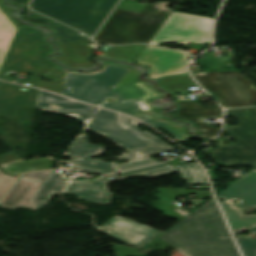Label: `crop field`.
<instances>
[{"instance_id": "1d83c4d3", "label": "crop field", "mask_w": 256, "mask_h": 256, "mask_svg": "<svg viewBox=\"0 0 256 256\" xmlns=\"http://www.w3.org/2000/svg\"><path fill=\"white\" fill-rule=\"evenodd\" d=\"M16 179L15 176H9L3 173L0 169V200L9 189L13 181Z\"/></svg>"}, {"instance_id": "bc2a9ffb", "label": "crop field", "mask_w": 256, "mask_h": 256, "mask_svg": "<svg viewBox=\"0 0 256 256\" xmlns=\"http://www.w3.org/2000/svg\"><path fill=\"white\" fill-rule=\"evenodd\" d=\"M20 87L0 81V115L15 118L18 106L35 108L39 90L28 87L20 91Z\"/></svg>"}, {"instance_id": "750c4746", "label": "crop field", "mask_w": 256, "mask_h": 256, "mask_svg": "<svg viewBox=\"0 0 256 256\" xmlns=\"http://www.w3.org/2000/svg\"><path fill=\"white\" fill-rule=\"evenodd\" d=\"M22 20L26 23H30V24H41V25H45V26H49L52 24H56V22L32 11L27 9Z\"/></svg>"}, {"instance_id": "3316defc", "label": "crop field", "mask_w": 256, "mask_h": 256, "mask_svg": "<svg viewBox=\"0 0 256 256\" xmlns=\"http://www.w3.org/2000/svg\"><path fill=\"white\" fill-rule=\"evenodd\" d=\"M211 18L173 12L150 44L210 43Z\"/></svg>"}, {"instance_id": "28ad6ade", "label": "crop field", "mask_w": 256, "mask_h": 256, "mask_svg": "<svg viewBox=\"0 0 256 256\" xmlns=\"http://www.w3.org/2000/svg\"><path fill=\"white\" fill-rule=\"evenodd\" d=\"M120 121L126 129L143 139L144 141L152 144L153 146L136 149L132 151L123 152L122 157H118L120 159L126 160L130 163L117 165L116 168L118 171L130 169L134 167H139L147 164L156 163L153 160L148 159L150 155L160 153L162 151H171L175 150L174 147L170 146L169 144L165 143L161 139L157 138L156 136L152 135L151 133L147 131H143L140 128L136 127L135 125L141 124V122H138L132 118H129L127 116H124L122 114L117 113Z\"/></svg>"}, {"instance_id": "e52e79f7", "label": "crop field", "mask_w": 256, "mask_h": 256, "mask_svg": "<svg viewBox=\"0 0 256 256\" xmlns=\"http://www.w3.org/2000/svg\"><path fill=\"white\" fill-rule=\"evenodd\" d=\"M127 69L126 65L108 62L102 72L92 74L67 73L63 95L99 106ZM71 87L70 90H67Z\"/></svg>"}, {"instance_id": "00972430", "label": "crop field", "mask_w": 256, "mask_h": 256, "mask_svg": "<svg viewBox=\"0 0 256 256\" xmlns=\"http://www.w3.org/2000/svg\"><path fill=\"white\" fill-rule=\"evenodd\" d=\"M69 181L68 178H62L60 173L51 172L31 199L33 210L40 209L44 204L49 203L48 200L53 193H60ZM41 198L45 200L41 201Z\"/></svg>"}, {"instance_id": "4a817a6b", "label": "crop field", "mask_w": 256, "mask_h": 256, "mask_svg": "<svg viewBox=\"0 0 256 256\" xmlns=\"http://www.w3.org/2000/svg\"><path fill=\"white\" fill-rule=\"evenodd\" d=\"M174 172H180L182 178H187L189 185H209L207 178L197 162L170 167L167 163L141 169L122 172L123 179L142 175L143 177H158ZM144 173H147L144 175Z\"/></svg>"}, {"instance_id": "4177f3b9", "label": "crop field", "mask_w": 256, "mask_h": 256, "mask_svg": "<svg viewBox=\"0 0 256 256\" xmlns=\"http://www.w3.org/2000/svg\"><path fill=\"white\" fill-rule=\"evenodd\" d=\"M162 87L171 91L174 94L188 93L187 88L196 87L197 85L187 75L169 77L157 80Z\"/></svg>"}, {"instance_id": "d9b57169", "label": "crop field", "mask_w": 256, "mask_h": 256, "mask_svg": "<svg viewBox=\"0 0 256 256\" xmlns=\"http://www.w3.org/2000/svg\"><path fill=\"white\" fill-rule=\"evenodd\" d=\"M177 103L179 110L175 112V116L194 123L201 131L198 133L199 136L208 140L220 132V128L203 122L205 117H221L222 109L220 110L219 106H204L196 101H177Z\"/></svg>"}, {"instance_id": "ac0d7876", "label": "crop field", "mask_w": 256, "mask_h": 256, "mask_svg": "<svg viewBox=\"0 0 256 256\" xmlns=\"http://www.w3.org/2000/svg\"><path fill=\"white\" fill-rule=\"evenodd\" d=\"M143 72L144 69L132 66L125 78L109 94L110 98L118 101L115 103L106 102L102 104L101 107L133 115L155 128L163 126L170 134L180 141L193 138L184 132L183 123L175 124L168 119L160 118L157 112L151 110L170 105V103H167L157 106L151 101H146L151 98L161 97L164 95L163 93L157 91L149 82L131 84L133 80ZM141 114L156 115L137 116Z\"/></svg>"}, {"instance_id": "22f410ed", "label": "crop field", "mask_w": 256, "mask_h": 256, "mask_svg": "<svg viewBox=\"0 0 256 256\" xmlns=\"http://www.w3.org/2000/svg\"><path fill=\"white\" fill-rule=\"evenodd\" d=\"M85 129L102 135L117 145L125 146L128 150L150 146L123 128L117 114L114 112L99 109Z\"/></svg>"}, {"instance_id": "eef30255", "label": "crop field", "mask_w": 256, "mask_h": 256, "mask_svg": "<svg viewBox=\"0 0 256 256\" xmlns=\"http://www.w3.org/2000/svg\"><path fill=\"white\" fill-rule=\"evenodd\" d=\"M145 45H128L123 47L111 46L105 56L106 59H124L133 61L144 49Z\"/></svg>"}, {"instance_id": "8a807250", "label": "crop field", "mask_w": 256, "mask_h": 256, "mask_svg": "<svg viewBox=\"0 0 256 256\" xmlns=\"http://www.w3.org/2000/svg\"><path fill=\"white\" fill-rule=\"evenodd\" d=\"M159 238L185 256H239L213 199Z\"/></svg>"}, {"instance_id": "bd1437ed", "label": "crop field", "mask_w": 256, "mask_h": 256, "mask_svg": "<svg viewBox=\"0 0 256 256\" xmlns=\"http://www.w3.org/2000/svg\"><path fill=\"white\" fill-rule=\"evenodd\" d=\"M244 256H256V240L236 238Z\"/></svg>"}, {"instance_id": "5a996713", "label": "crop field", "mask_w": 256, "mask_h": 256, "mask_svg": "<svg viewBox=\"0 0 256 256\" xmlns=\"http://www.w3.org/2000/svg\"><path fill=\"white\" fill-rule=\"evenodd\" d=\"M218 196L225 201L221 205L234 234L256 227V214L245 215L242 211L256 207V169L244 175ZM235 199L239 202L232 203Z\"/></svg>"}, {"instance_id": "5866460e", "label": "crop field", "mask_w": 256, "mask_h": 256, "mask_svg": "<svg viewBox=\"0 0 256 256\" xmlns=\"http://www.w3.org/2000/svg\"><path fill=\"white\" fill-rule=\"evenodd\" d=\"M18 159L19 158L13 152L3 154V155H0V164H4V163L11 162Z\"/></svg>"}, {"instance_id": "412701ff", "label": "crop field", "mask_w": 256, "mask_h": 256, "mask_svg": "<svg viewBox=\"0 0 256 256\" xmlns=\"http://www.w3.org/2000/svg\"><path fill=\"white\" fill-rule=\"evenodd\" d=\"M170 3L148 4L141 13L115 9L94 39L112 44L148 43L172 12Z\"/></svg>"}, {"instance_id": "733c2abd", "label": "crop field", "mask_w": 256, "mask_h": 256, "mask_svg": "<svg viewBox=\"0 0 256 256\" xmlns=\"http://www.w3.org/2000/svg\"><path fill=\"white\" fill-rule=\"evenodd\" d=\"M54 105H58L59 108H53L52 106ZM36 108L56 114L73 117L80 121L82 124L86 125L85 127H87L94 114L96 113V111L93 110V107L86 106L78 102L59 97L41 90L39 93Z\"/></svg>"}, {"instance_id": "cbeb9de0", "label": "crop field", "mask_w": 256, "mask_h": 256, "mask_svg": "<svg viewBox=\"0 0 256 256\" xmlns=\"http://www.w3.org/2000/svg\"><path fill=\"white\" fill-rule=\"evenodd\" d=\"M90 139V137L81 135L64 152V156L73 158L69 169L85 170L100 174L117 172L112 163L90 159L93 155L102 153L105 149L104 147L91 144L89 142Z\"/></svg>"}, {"instance_id": "92a150f3", "label": "crop field", "mask_w": 256, "mask_h": 256, "mask_svg": "<svg viewBox=\"0 0 256 256\" xmlns=\"http://www.w3.org/2000/svg\"><path fill=\"white\" fill-rule=\"evenodd\" d=\"M109 177H111L113 180L99 177L93 182L72 181L64 193L77 195L81 200L100 204H109L112 194L106 188L107 182L122 179V177L116 179L113 175ZM78 189L80 190L77 191Z\"/></svg>"}, {"instance_id": "d3111659", "label": "crop field", "mask_w": 256, "mask_h": 256, "mask_svg": "<svg viewBox=\"0 0 256 256\" xmlns=\"http://www.w3.org/2000/svg\"><path fill=\"white\" fill-rule=\"evenodd\" d=\"M64 70L61 68H54L49 73L44 75V78L52 80L51 82L48 81H41V88L54 91L56 93L61 92V84L63 80Z\"/></svg>"}, {"instance_id": "028f5c9d", "label": "crop field", "mask_w": 256, "mask_h": 256, "mask_svg": "<svg viewBox=\"0 0 256 256\" xmlns=\"http://www.w3.org/2000/svg\"><path fill=\"white\" fill-rule=\"evenodd\" d=\"M9 3L25 7L28 5L29 0H7Z\"/></svg>"}, {"instance_id": "d1516ede", "label": "crop field", "mask_w": 256, "mask_h": 256, "mask_svg": "<svg viewBox=\"0 0 256 256\" xmlns=\"http://www.w3.org/2000/svg\"><path fill=\"white\" fill-rule=\"evenodd\" d=\"M187 61L186 52L147 46L136 62L150 66V78L154 79L185 73Z\"/></svg>"}, {"instance_id": "730fd06b", "label": "crop field", "mask_w": 256, "mask_h": 256, "mask_svg": "<svg viewBox=\"0 0 256 256\" xmlns=\"http://www.w3.org/2000/svg\"><path fill=\"white\" fill-rule=\"evenodd\" d=\"M16 28L0 12V66L10 46Z\"/></svg>"}, {"instance_id": "dafd665d", "label": "crop field", "mask_w": 256, "mask_h": 256, "mask_svg": "<svg viewBox=\"0 0 256 256\" xmlns=\"http://www.w3.org/2000/svg\"><path fill=\"white\" fill-rule=\"evenodd\" d=\"M90 42L92 41L87 40L60 45L59 47L63 52V56L54 57V59L64 66L71 68L90 69L97 67L96 64L89 61V58L94 54L93 49L88 46Z\"/></svg>"}, {"instance_id": "ae1a2a85", "label": "crop field", "mask_w": 256, "mask_h": 256, "mask_svg": "<svg viewBox=\"0 0 256 256\" xmlns=\"http://www.w3.org/2000/svg\"><path fill=\"white\" fill-rule=\"evenodd\" d=\"M52 30H54L56 33L52 37V41L56 45L60 44H66V43H71V42H76V41H82V40H87L88 38L81 36L78 34V32L67 28L61 24H56L53 26H49Z\"/></svg>"}, {"instance_id": "34b2d1b8", "label": "crop field", "mask_w": 256, "mask_h": 256, "mask_svg": "<svg viewBox=\"0 0 256 256\" xmlns=\"http://www.w3.org/2000/svg\"><path fill=\"white\" fill-rule=\"evenodd\" d=\"M47 33L40 27L20 26L1 66L0 78L13 81L16 77L4 75L9 69L31 73L33 75L24 82H15L39 87L38 77L56 66L46 57L52 51L51 46L43 41Z\"/></svg>"}, {"instance_id": "dd49c442", "label": "crop field", "mask_w": 256, "mask_h": 256, "mask_svg": "<svg viewBox=\"0 0 256 256\" xmlns=\"http://www.w3.org/2000/svg\"><path fill=\"white\" fill-rule=\"evenodd\" d=\"M226 116L238 119L239 126H225L224 132L235 144L225 145L224 140L210 151L212 158L224 165L249 162L256 164V108L226 110Z\"/></svg>"}, {"instance_id": "5142ce71", "label": "crop field", "mask_w": 256, "mask_h": 256, "mask_svg": "<svg viewBox=\"0 0 256 256\" xmlns=\"http://www.w3.org/2000/svg\"><path fill=\"white\" fill-rule=\"evenodd\" d=\"M98 230L134 247H141L159 232L149 226L119 217Z\"/></svg>"}, {"instance_id": "d32e631a", "label": "crop field", "mask_w": 256, "mask_h": 256, "mask_svg": "<svg viewBox=\"0 0 256 256\" xmlns=\"http://www.w3.org/2000/svg\"><path fill=\"white\" fill-rule=\"evenodd\" d=\"M16 9V7L6 6L2 4V0H0V10L1 12L8 18V20L16 27L18 28L20 25L17 21L10 18L9 14L13 12ZM17 10V9H16Z\"/></svg>"}, {"instance_id": "d8731c3e", "label": "crop field", "mask_w": 256, "mask_h": 256, "mask_svg": "<svg viewBox=\"0 0 256 256\" xmlns=\"http://www.w3.org/2000/svg\"><path fill=\"white\" fill-rule=\"evenodd\" d=\"M192 74L226 108L256 104V86L239 71Z\"/></svg>"}, {"instance_id": "f4fd0767", "label": "crop field", "mask_w": 256, "mask_h": 256, "mask_svg": "<svg viewBox=\"0 0 256 256\" xmlns=\"http://www.w3.org/2000/svg\"><path fill=\"white\" fill-rule=\"evenodd\" d=\"M118 0H33L31 8L93 37ZM41 13V14H42Z\"/></svg>"}, {"instance_id": "a9b5d70f", "label": "crop field", "mask_w": 256, "mask_h": 256, "mask_svg": "<svg viewBox=\"0 0 256 256\" xmlns=\"http://www.w3.org/2000/svg\"><path fill=\"white\" fill-rule=\"evenodd\" d=\"M55 161L49 157L24 160L1 166L5 173L18 175L22 172L52 168Z\"/></svg>"}, {"instance_id": "120bbe31", "label": "crop field", "mask_w": 256, "mask_h": 256, "mask_svg": "<svg viewBox=\"0 0 256 256\" xmlns=\"http://www.w3.org/2000/svg\"><path fill=\"white\" fill-rule=\"evenodd\" d=\"M145 5L120 1L116 8L141 12Z\"/></svg>"}, {"instance_id": "214f88e0", "label": "crop field", "mask_w": 256, "mask_h": 256, "mask_svg": "<svg viewBox=\"0 0 256 256\" xmlns=\"http://www.w3.org/2000/svg\"><path fill=\"white\" fill-rule=\"evenodd\" d=\"M51 171L24 174L15 183L0 207L17 209L31 208L30 199Z\"/></svg>"}]
</instances>
